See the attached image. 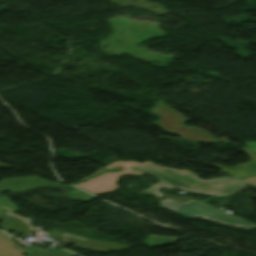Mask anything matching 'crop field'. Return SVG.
Instances as JSON below:
<instances>
[{"mask_svg":"<svg viewBox=\"0 0 256 256\" xmlns=\"http://www.w3.org/2000/svg\"><path fill=\"white\" fill-rule=\"evenodd\" d=\"M114 166H122L124 169L117 173H106L77 186L94 194L109 192L117 188V178L127 173L136 175L149 173L158 177L162 184L171 189L180 188L185 189L187 192L204 195L227 196L246 186L244 182L230 177L202 180L199 179L196 174L187 170L161 167L150 161H145L143 164L132 161H117L106 166V168H112ZM184 171H186V173H184Z\"/></svg>","mask_w":256,"mask_h":256,"instance_id":"crop-field-1","label":"crop field"},{"mask_svg":"<svg viewBox=\"0 0 256 256\" xmlns=\"http://www.w3.org/2000/svg\"><path fill=\"white\" fill-rule=\"evenodd\" d=\"M150 111L161 118L156 125L161 127L166 133H171L194 142L228 143L227 140L211 137L210 133L198 128L186 127L185 122L189 121V119L160 100L156 102Z\"/></svg>","mask_w":256,"mask_h":256,"instance_id":"crop-field-2","label":"crop field"},{"mask_svg":"<svg viewBox=\"0 0 256 256\" xmlns=\"http://www.w3.org/2000/svg\"><path fill=\"white\" fill-rule=\"evenodd\" d=\"M174 212L181 213L188 218L203 217L207 220L244 229L254 228L255 223L249 222L245 219L226 215L224 212L217 210L199 200L193 201Z\"/></svg>","mask_w":256,"mask_h":256,"instance_id":"crop-field-3","label":"crop field"},{"mask_svg":"<svg viewBox=\"0 0 256 256\" xmlns=\"http://www.w3.org/2000/svg\"><path fill=\"white\" fill-rule=\"evenodd\" d=\"M37 180L40 183H36ZM15 183H19V185H14ZM57 184L59 183H51L36 176L26 178H10L0 182V192L8 190L14 193L37 187H55ZM6 185L9 187H6Z\"/></svg>","mask_w":256,"mask_h":256,"instance_id":"crop-field-4","label":"crop field"},{"mask_svg":"<svg viewBox=\"0 0 256 256\" xmlns=\"http://www.w3.org/2000/svg\"><path fill=\"white\" fill-rule=\"evenodd\" d=\"M161 187H165L161 184V182L159 181L158 183H156L155 185H153L150 189L146 190V191H143L141 193H153V194H156L158 199L161 198V197H164L166 195H162L160 192H158V190L161 188ZM193 201V199H190V200H185V199H170V200H166V201H162L161 204H162V207H166L170 210H175L189 202Z\"/></svg>","mask_w":256,"mask_h":256,"instance_id":"crop-field-5","label":"crop field"},{"mask_svg":"<svg viewBox=\"0 0 256 256\" xmlns=\"http://www.w3.org/2000/svg\"><path fill=\"white\" fill-rule=\"evenodd\" d=\"M178 237L174 236H161V235H149L143 242L153 248L166 245L178 241Z\"/></svg>","mask_w":256,"mask_h":256,"instance_id":"crop-field-6","label":"crop field"},{"mask_svg":"<svg viewBox=\"0 0 256 256\" xmlns=\"http://www.w3.org/2000/svg\"><path fill=\"white\" fill-rule=\"evenodd\" d=\"M58 187L65 189L70 199L82 200L84 202H88L93 198H95L73 186H58Z\"/></svg>","mask_w":256,"mask_h":256,"instance_id":"crop-field-7","label":"crop field"},{"mask_svg":"<svg viewBox=\"0 0 256 256\" xmlns=\"http://www.w3.org/2000/svg\"><path fill=\"white\" fill-rule=\"evenodd\" d=\"M244 145H246L248 148L256 151V142H248V143H243Z\"/></svg>","mask_w":256,"mask_h":256,"instance_id":"crop-field-8","label":"crop field"},{"mask_svg":"<svg viewBox=\"0 0 256 256\" xmlns=\"http://www.w3.org/2000/svg\"><path fill=\"white\" fill-rule=\"evenodd\" d=\"M243 180L246 181L247 183L251 184V185H256V177L246 178V179H243Z\"/></svg>","mask_w":256,"mask_h":256,"instance_id":"crop-field-9","label":"crop field"},{"mask_svg":"<svg viewBox=\"0 0 256 256\" xmlns=\"http://www.w3.org/2000/svg\"><path fill=\"white\" fill-rule=\"evenodd\" d=\"M0 167H9V166L0 163Z\"/></svg>","mask_w":256,"mask_h":256,"instance_id":"crop-field-10","label":"crop field"},{"mask_svg":"<svg viewBox=\"0 0 256 256\" xmlns=\"http://www.w3.org/2000/svg\"><path fill=\"white\" fill-rule=\"evenodd\" d=\"M6 214L10 215V213H8V212H6L5 215H6Z\"/></svg>","mask_w":256,"mask_h":256,"instance_id":"crop-field-11","label":"crop field"}]
</instances>
